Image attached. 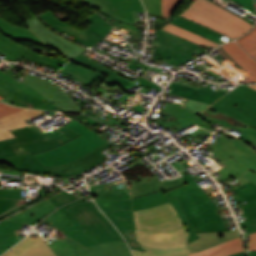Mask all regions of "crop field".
Listing matches in <instances>:
<instances>
[{"instance_id":"obj_47","label":"crop field","mask_w":256,"mask_h":256,"mask_svg":"<svg viewBox=\"0 0 256 256\" xmlns=\"http://www.w3.org/2000/svg\"><path fill=\"white\" fill-rule=\"evenodd\" d=\"M57 256H65L74 252L72 246L59 238H49L45 241Z\"/></svg>"},{"instance_id":"obj_24","label":"crop field","mask_w":256,"mask_h":256,"mask_svg":"<svg viewBox=\"0 0 256 256\" xmlns=\"http://www.w3.org/2000/svg\"><path fill=\"white\" fill-rule=\"evenodd\" d=\"M91 194L101 199H129L130 191L125 179L90 187Z\"/></svg>"},{"instance_id":"obj_69","label":"crop field","mask_w":256,"mask_h":256,"mask_svg":"<svg viewBox=\"0 0 256 256\" xmlns=\"http://www.w3.org/2000/svg\"><path fill=\"white\" fill-rule=\"evenodd\" d=\"M250 87L256 89V85H249Z\"/></svg>"},{"instance_id":"obj_41","label":"crop field","mask_w":256,"mask_h":256,"mask_svg":"<svg viewBox=\"0 0 256 256\" xmlns=\"http://www.w3.org/2000/svg\"><path fill=\"white\" fill-rule=\"evenodd\" d=\"M91 24L86 29L104 37L112 29V26L104 21L96 12L85 19Z\"/></svg>"},{"instance_id":"obj_23","label":"crop field","mask_w":256,"mask_h":256,"mask_svg":"<svg viewBox=\"0 0 256 256\" xmlns=\"http://www.w3.org/2000/svg\"><path fill=\"white\" fill-rule=\"evenodd\" d=\"M210 85L211 84H209L206 88L200 87V89L197 90L193 87L171 82L170 87L172 89L169 93L211 104L226 92L213 91L209 89Z\"/></svg>"},{"instance_id":"obj_51","label":"crop field","mask_w":256,"mask_h":256,"mask_svg":"<svg viewBox=\"0 0 256 256\" xmlns=\"http://www.w3.org/2000/svg\"><path fill=\"white\" fill-rule=\"evenodd\" d=\"M55 207H59L69 201L76 199L72 194L67 193L66 191L61 192L51 198H49Z\"/></svg>"},{"instance_id":"obj_49","label":"crop field","mask_w":256,"mask_h":256,"mask_svg":"<svg viewBox=\"0 0 256 256\" xmlns=\"http://www.w3.org/2000/svg\"><path fill=\"white\" fill-rule=\"evenodd\" d=\"M24 225V224H23ZM22 224L4 221L0 223V243L16 234Z\"/></svg>"},{"instance_id":"obj_10","label":"crop field","mask_w":256,"mask_h":256,"mask_svg":"<svg viewBox=\"0 0 256 256\" xmlns=\"http://www.w3.org/2000/svg\"><path fill=\"white\" fill-rule=\"evenodd\" d=\"M161 47H155V59H170L169 64L179 65L191 59L192 51L200 46L163 30L156 32ZM151 49V48H149Z\"/></svg>"},{"instance_id":"obj_62","label":"crop field","mask_w":256,"mask_h":256,"mask_svg":"<svg viewBox=\"0 0 256 256\" xmlns=\"http://www.w3.org/2000/svg\"><path fill=\"white\" fill-rule=\"evenodd\" d=\"M197 125H199L202 128H207L209 130H212V128L204 120L199 122V123H197Z\"/></svg>"},{"instance_id":"obj_71","label":"crop field","mask_w":256,"mask_h":256,"mask_svg":"<svg viewBox=\"0 0 256 256\" xmlns=\"http://www.w3.org/2000/svg\"><path fill=\"white\" fill-rule=\"evenodd\" d=\"M255 2H256V0H255Z\"/></svg>"},{"instance_id":"obj_38","label":"crop field","mask_w":256,"mask_h":256,"mask_svg":"<svg viewBox=\"0 0 256 256\" xmlns=\"http://www.w3.org/2000/svg\"><path fill=\"white\" fill-rule=\"evenodd\" d=\"M0 31H2L4 34H6L10 38L32 40L37 43L47 45L44 42H42L31 30L11 25L5 20H3L1 17H0Z\"/></svg>"},{"instance_id":"obj_11","label":"crop field","mask_w":256,"mask_h":256,"mask_svg":"<svg viewBox=\"0 0 256 256\" xmlns=\"http://www.w3.org/2000/svg\"><path fill=\"white\" fill-rule=\"evenodd\" d=\"M42 112L0 103V140L15 137L8 130L34 124L30 119Z\"/></svg>"},{"instance_id":"obj_42","label":"crop field","mask_w":256,"mask_h":256,"mask_svg":"<svg viewBox=\"0 0 256 256\" xmlns=\"http://www.w3.org/2000/svg\"><path fill=\"white\" fill-rule=\"evenodd\" d=\"M226 165L223 167L224 169L219 171L224 177L221 178V181L229 178V177H239L245 171L248 170L245 166L240 164L239 162L233 160L232 158L228 159L227 161L219 164L220 166Z\"/></svg>"},{"instance_id":"obj_29","label":"crop field","mask_w":256,"mask_h":256,"mask_svg":"<svg viewBox=\"0 0 256 256\" xmlns=\"http://www.w3.org/2000/svg\"><path fill=\"white\" fill-rule=\"evenodd\" d=\"M82 201L83 200L80 199V200L71 202V203L59 208L58 210L63 212L65 214V216H67L73 224L72 226L66 228L63 232H65L67 235H69L70 237L77 240L79 243H81L85 247H88V246L96 245V244H98V242H96L94 239L90 238L88 235H86L83 232V231H85V229L67 210V208L74 206Z\"/></svg>"},{"instance_id":"obj_3","label":"crop field","mask_w":256,"mask_h":256,"mask_svg":"<svg viewBox=\"0 0 256 256\" xmlns=\"http://www.w3.org/2000/svg\"><path fill=\"white\" fill-rule=\"evenodd\" d=\"M180 15L233 39L239 38L253 28L242 18L208 0H196Z\"/></svg>"},{"instance_id":"obj_13","label":"crop field","mask_w":256,"mask_h":256,"mask_svg":"<svg viewBox=\"0 0 256 256\" xmlns=\"http://www.w3.org/2000/svg\"><path fill=\"white\" fill-rule=\"evenodd\" d=\"M95 9L110 17L134 25L132 11L145 12L140 0H86Z\"/></svg>"},{"instance_id":"obj_34","label":"crop field","mask_w":256,"mask_h":256,"mask_svg":"<svg viewBox=\"0 0 256 256\" xmlns=\"http://www.w3.org/2000/svg\"><path fill=\"white\" fill-rule=\"evenodd\" d=\"M128 167L120 173L127 179L130 186L156 179L140 160L128 165Z\"/></svg>"},{"instance_id":"obj_26","label":"crop field","mask_w":256,"mask_h":256,"mask_svg":"<svg viewBox=\"0 0 256 256\" xmlns=\"http://www.w3.org/2000/svg\"><path fill=\"white\" fill-rule=\"evenodd\" d=\"M56 208L46 199L8 219V221L25 223L28 225H34L45 216L50 214Z\"/></svg>"},{"instance_id":"obj_45","label":"crop field","mask_w":256,"mask_h":256,"mask_svg":"<svg viewBox=\"0 0 256 256\" xmlns=\"http://www.w3.org/2000/svg\"><path fill=\"white\" fill-rule=\"evenodd\" d=\"M42 222L49 224L51 227L58 229L59 231H63L67 226L71 225L68 218L58 210L43 219Z\"/></svg>"},{"instance_id":"obj_16","label":"crop field","mask_w":256,"mask_h":256,"mask_svg":"<svg viewBox=\"0 0 256 256\" xmlns=\"http://www.w3.org/2000/svg\"><path fill=\"white\" fill-rule=\"evenodd\" d=\"M57 236L69 242L78 256H132L125 241L102 243L85 248L63 232L57 231Z\"/></svg>"},{"instance_id":"obj_1","label":"crop field","mask_w":256,"mask_h":256,"mask_svg":"<svg viewBox=\"0 0 256 256\" xmlns=\"http://www.w3.org/2000/svg\"><path fill=\"white\" fill-rule=\"evenodd\" d=\"M182 178L187 184L166 194L169 199L177 197L184 208L189 223L186 226L190 234L188 243L199 238L195 232L227 231L221 214L217 215V207L192 176L187 174Z\"/></svg>"},{"instance_id":"obj_64","label":"crop field","mask_w":256,"mask_h":256,"mask_svg":"<svg viewBox=\"0 0 256 256\" xmlns=\"http://www.w3.org/2000/svg\"><path fill=\"white\" fill-rule=\"evenodd\" d=\"M226 59L231 58L221 47L217 49Z\"/></svg>"},{"instance_id":"obj_46","label":"crop field","mask_w":256,"mask_h":256,"mask_svg":"<svg viewBox=\"0 0 256 256\" xmlns=\"http://www.w3.org/2000/svg\"><path fill=\"white\" fill-rule=\"evenodd\" d=\"M256 7V3H255ZM241 47L256 59V26L253 30L242 38L236 40Z\"/></svg>"},{"instance_id":"obj_63","label":"crop field","mask_w":256,"mask_h":256,"mask_svg":"<svg viewBox=\"0 0 256 256\" xmlns=\"http://www.w3.org/2000/svg\"><path fill=\"white\" fill-rule=\"evenodd\" d=\"M217 190H218V189H217ZM204 191L209 195L210 198L213 197L212 194L210 193V192H214L212 186H210V187L204 189ZM215 191H216V190H215Z\"/></svg>"},{"instance_id":"obj_36","label":"crop field","mask_w":256,"mask_h":256,"mask_svg":"<svg viewBox=\"0 0 256 256\" xmlns=\"http://www.w3.org/2000/svg\"><path fill=\"white\" fill-rule=\"evenodd\" d=\"M63 72L71 75L79 82L90 85L92 82L96 81L103 74L100 72L93 71L91 69L85 68L83 66L75 65L72 61L68 62L64 67Z\"/></svg>"},{"instance_id":"obj_17","label":"crop field","mask_w":256,"mask_h":256,"mask_svg":"<svg viewBox=\"0 0 256 256\" xmlns=\"http://www.w3.org/2000/svg\"><path fill=\"white\" fill-rule=\"evenodd\" d=\"M39 194L40 197L37 199H26V197H21L20 188L0 189V218L27 206L28 202H35L48 196L42 188Z\"/></svg>"},{"instance_id":"obj_39","label":"crop field","mask_w":256,"mask_h":256,"mask_svg":"<svg viewBox=\"0 0 256 256\" xmlns=\"http://www.w3.org/2000/svg\"><path fill=\"white\" fill-rule=\"evenodd\" d=\"M163 28L168 30V31H171V32H173V33H175V34H177L179 36H182V37H184V38H186V39H188V40H190L192 42H195V43H197L199 45H203L205 47L208 46V45H210L212 47L219 46L218 44H216V43H214V42H212V41H210L208 39H205V38H203V37H201V36H199V35H197L195 33H192L190 31L184 30V29L179 28V27H177V26H175L173 24H170V23H168Z\"/></svg>"},{"instance_id":"obj_21","label":"crop field","mask_w":256,"mask_h":256,"mask_svg":"<svg viewBox=\"0 0 256 256\" xmlns=\"http://www.w3.org/2000/svg\"><path fill=\"white\" fill-rule=\"evenodd\" d=\"M207 106H209V104L190 99H186L183 106L175 104L171 105L167 103L162 110L172 114L173 116L165 118L164 120L167 122L176 116L179 118L177 119V121L180 123L179 125L182 126L189 121L200 117L196 114Z\"/></svg>"},{"instance_id":"obj_6","label":"crop field","mask_w":256,"mask_h":256,"mask_svg":"<svg viewBox=\"0 0 256 256\" xmlns=\"http://www.w3.org/2000/svg\"><path fill=\"white\" fill-rule=\"evenodd\" d=\"M136 231V240L139 241L145 252L133 250L135 256H189L185 226L171 232L153 233Z\"/></svg>"},{"instance_id":"obj_7","label":"crop field","mask_w":256,"mask_h":256,"mask_svg":"<svg viewBox=\"0 0 256 256\" xmlns=\"http://www.w3.org/2000/svg\"><path fill=\"white\" fill-rule=\"evenodd\" d=\"M208 108L225 113L256 128V90L239 85Z\"/></svg>"},{"instance_id":"obj_40","label":"crop field","mask_w":256,"mask_h":256,"mask_svg":"<svg viewBox=\"0 0 256 256\" xmlns=\"http://www.w3.org/2000/svg\"><path fill=\"white\" fill-rule=\"evenodd\" d=\"M0 76L5 78L8 82H10L11 84L17 86L18 88L22 89L23 91L35 96V97H38L40 99H46L45 97H43L41 94H39L37 91H35L34 89L28 87L27 85H25L24 83H20L14 79H12L11 77H9L8 75H6L5 73H3L1 70H0ZM47 100V99H46ZM35 108H38V109H49V110H60L58 109L53 103L51 102H47V103H44L42 105H39Z\"/></svg>"},{"instance_id":"obj_44","label":"crop field","mask_w":256,"mask_h":256,"mask_svg":"<svg viewBox=\"0 0 256 256\" xmlns=\"http://www.w3.org/2000/svg\"><path fill=\"white\" fill-rule=\"evenodd\" d=\"M248 221L241 222V228L245 227L248 233L256 231V202L241 207Z\"/></svg>"},{"instance_id":"obj_57","label":"crop field","mask_w":256,"mask_h":256,"mask_svg":"<svg viewBox=\"0 0 256 256\" xmlns=\"http://www.w3.org/2000/svg\"><path fill=\"white\" fill-rule=\"evenodd\" d=\"M249 250H256V232L249 234V244H248Z\"/></svg>"},{"instance_id":"obj_25","label":"crop field","mask_w":256,"mask_h":256,"mask_svg":"<svg viewBox=\"0 0 256 256\" xmlns=\"http://www.w3.org/2000/svg\"><path fill=\"white\" fill-rule=\"evenodd\" d=\"M0 95L10 100L16 105L35 107L39 104L47 102L38 98L32 97L17 87L9 84L5 79L0 77Z\"/></svg>"},{"instance_id":"obj_48","label":"crop field","mask_w":256,"mask_h":256,"mask_svg":"<svg viewBox=\"0 0 256 256\" xmlns=\"http://www.w3.org/2000/svg\"><path fill=\"white\" fill-rule=\"evenodd\" d=\"M233 190L237 198L244 197L247 204L256 201V184L253 182H249Z\"/></svg>"},{"instance_id":"obj_50","label":"crop field","mask_w":256,"mask_h":256,"mask_svg":"<svg viewBox=\"0 0 256 256\" xmlns=\"http://www.w3.org/2000/svg\"><path fill=\"white\" fill-rule=\"evenodd\" d=\"M147 13L162 16L161 0H143Z\"/></svg>"},{"instance_id":"obj_9","label":"crop field","mask_w":256,"mask_h":256,"mask_svg":"<svg viewBox=\"0 0 256 256\" xmlns=\"http://www.w3.org/2000/svg\"><path fill=\"white\" fill-rule=\"evenodd\" d=\"M136 229L153 232L171 231L183 226L171 202L159 207L134 211Z\"/></svg>"},{"instance_id":"obj_66","label":"crop field","mask_w":256,"mask_h":256,"mask_svg":"<svg viewBox=\"0 0 256 256\" xmlns=\"http://www.w3.org/2000/svg\"><path fill=\"white\" fill-rule=\"evenodd\" d=\"M249 256H256V252H249Z\"/></svg>"},{"instance_id":"obj_31","label":"crop field","mask_w":256,"mask_h":256,"mask_svg":"<svg viewBox=\"0 0 256 256\" xmlns=\"http://www.w3.org/2000/svg\"><path fill=\"white\" fill-rule=\"evenodd\" d=\"M183 184H185V182L181 177L168 180V181H163V182H160L158 179H156L139 186L131 187V192L134 198V197L154 193L161 189H163L164 192H166L170 189H173Z\"/></svg>"},{"instance_id":"obj_32","label":"crop field","mask_w":256,"mask_h":256,"mask_svg":"<svg viewBox=\"0 0 256 256\" xmlns=\"http://www.w3.org/2000/svg\"><path fill=\"white\" fill-rule=\"evenodd\" d=\"M228 54L238 62L245 70L251 72L253 75L249 76L248 78L256 82V61L250 58L242 48L237 45L234 41H231L227 44L222 46Z\"/></svg>"},{"instance_id":"obj_68","label":"crop field","mask_w":256,"mask_h":256,"mask_svg":"<svg viewBox=\"0 0 256 256\" xmlns=\"http://www.w3.org/2000/svg\"><path fill=\"white\" fill-rule=\"evenodd\" d=\"M241 82H250V81L246 78V79H244V80L241 81Z\"/></svg>"},{"instance_id":"obj_33","label":"crop field","mask_w":256,"mask_h":256,"mask_svg":"<svg viewBox=\"0 0 256 256\" xmlns=\"http://www.w3.org/2000/svg\"><path fill=\"white\" fill-rule=\"evenodd\" d=\"M239 251H244V242L241 237L207 248L199 253H191L189 255L190 256H227Z\"/></svg>"},{"instance_id":"obj_15","label":"crop field","mask_w":256,"mask_h":256,"mask_svg":"<svg viewBox=\"0 0 256 256\" xmlns=\"http://www.w3.org/2000/svg\"><path fill=\"white\" fill-rule=\"evenodd\" d=\"M0 52L6 53L4 60L16 61L21 56L39 63H43L47 66L60 69L62 65L67 62L61 59L44 56L37 54L28 48H25L10 40L6 35L0 32Z\"/></svg>"},{"instance_id":"obj_53","label":"crop field","mask_w":256,"mask_h":256,"mask_svg":"<svg viewBox=\"0 0 256 256\" xmlns=\"http://www.w3.org/2000/svg\"><path fill=\"white\" fill-rule=\"evenodd\" d=\"M23 226L21 227V229L23 228ZM20 230H19V232H20ZM18 233L0 244V255L3 252H5L7 249H9L12 245H14L16 242H18L24 238V236L18 235Z\"/></svg>"},{"instance_id":"obj_37","label":"crop field","mask_w":256,"mask_h":256,"mask_svg":"<svg viewBox=\"0 0 256 256\" xmlns=\"http://www.w3.org/2000/svg\"><path fill=\"white\" fill-rule=\"evenodd\" d=\"M171 23L176 24L182 28H185L187 30L193 31L203 37L209 38L217 43H224L219 38L223 36L222 34H219L211 29L205 28L195 22H191L185 18H182L180 16L174 18ZM231 40V38L229 39Z\"/></svg>"},{"instance_id":"obj_60","label":"crop field","mask_w":256,"mask_h":256,"mask_svg":"<svg viewBox=\"0 0 256 256\" xmlns=\"http://www.w3.org/2000/svg\"><path fill=\"white\" fill-rule=\"evenodd\" d=\"M201 133H204L208 136H211L212 133L206 131V130H203V129H197L195 132L191 133V134H188V136H190L191 138L201 134Z\"/></svg>"},{"instance_id":"obj_18","label":"crop field","mask_w":256,"mask_h":256,"mask_svg":"<svg viewBox=\"0 0 256 256\" xmlns=\"http://www.w3.org/2000/svg\"><path fill=\"white\" fill-rule=\"evenodd\" d=\"M104 214L117 227L130 248L143 251L140 244L135 241L132 210L104 212Z\"/></svg>"},{"instance_id":"obj_4","label":"crop field","mask_w":256,"mask_h":256,"mask_svg":"<svg viewBox=\"0 0 256 256\" xmlns=\"http://www.w3.org/2000/svg\"><path fill=\"white\" fill-rule=\"evenodd\" d=\"M65 127L82 136L47 152L36 154L35 157L46 167L67 164L108 142L99 137L97 133L79 123L75 119Z\"/></svg>"},{"instance_id":"obj_19","label":"crop field","mask_w":256,"mask_h":256,"mask_svg":"<svg viewBox=\"0 0 256 256\" xmlns=\"http://www.w3.org/2000/svg\"><path fill=\"white\" fill-rule=\"evenodd\" d=\"M209 112H210V109L206 108L203 111H201L198 115H200L207 123L213 121V122L219 123L221 126L236 129L243 133L240 137L256 144L255 128H252L242 122L234 120L222 113L214 112V114H211Z\"/></svg>"},{"instance_id":"obj_22","label":"crop field","mask_w":256,"mask_h":256,"mask_svg":"<svg viewBox=\"0 0 256 256\" xmlns=\"http://www.w3.org/2000/svg\"><path fill=\"white\" fill-rule=\"evenodd\" d=\"M3 256H56L39 236L32 240L26 238L16 244Z\"/></svg>"},{"instance_id":"obj_67","label":"crop field","mask_w":256,"mask_h":256,"mask_svg":"<svg viewBox=\"0 0 256 256\" xmlns=\"http://www.w3.org/2000/svg\"><path fill=\"white\" fill-rule=\"evenodd\" d=\"M67 256H77L76 252L70 254V255H67Z\"/></svg>"},{"instance_id":"obj_43","label":"crop field","mask_w":256,"mask_h":256,"mask_svg":"<svg viewBox=\"0 0 256 256\" xmlns=\"http://www.w3.org/2000/svg\"><path fill=\"white\" fill-rule=\"evenodd\" d=\"M95 199V198H94ZM102 211L132 209L131 199L129 200H100L95 199Z\"/></svg>"},{"instance_id":"obj_20","label":"crop field","mask_w":256,"mask_h":256,"mask_svg":"<svg viewBox=\"0 0 256 256\" xmlns=\"http://www.w3.org/2000/svg\"><path fill=\"white\" fill-rule=\"evenodd\" d=\"M41 17L51 26H53L55 29H57L60 32H65L67 34L75 36V40L87 45L92 46L93 44L97 43L102 37L89 32L88 30L80 31L70 25H68L65 22L60 21L51 11H46L42 14H40Z\"/></svg>"},{"instance_id":"obj_27","label":"crop field","mask_w":256,"mask_h":256,"mask_svg":"<svg viewBox=\"0 0 256 256\" xmlns=\"http://www.w3.org/2000/svg\"><path fill=\"white\" fill-rule=\"evenodd\" d=\"M169 201H171L172 204L174 205L177 213L183 220L184 224L185 225L188 224L185 214H184V211H183L179 201L177 200V198L168 200V197L163 192V190H161L157 193H154V194H150V195H146L143 197L133 199V209L139 210V209H143V208L159 206V205L167 203Z\"/></svg>"},{"instance_id":"obj_56","label":"crop field","mask_w":256,"mask_h":256,"mask_svg":"<svg viewBox=\"0 0 256 256\" xmlns=\"http://www.w3.org/2000/svg\"><path fill=\"white\" fill-rule=\"evenodd\" d=\"M140 85L150 87V88H154V89H157V90L161 91V88L158 85H156L153 82H150V81L146 80L143 77H140Z\"/></svg>"},{"instance_id":"obj_54","label":"crop field","mask_w":256,"mask_h":256,"mask_svg":"<svg viewBox=\"0 0 256 256\" xmlns=\"http://www.w3.org/2000/svg\"><path fill=\"white\" fill-rule=\"evenodd\" d=\"M70 119L71 118H75V119H77L79 122H81V123H83L84 125H86V126H88L89 128H94V127H96V126H98V125H101L100 123H98V122H96V121H94V120H92V119H90V118H88V117H86V116H84V115H82V114H80V115H78V116H68ZM93 130V129H92Z\"/></svg>"},{"instance_id":"obj_58","label":"crop field","mask_w":256,"mask_h":256,"mask_svg":"<svg viewBox=\"0 0 256 256\" xmlns=\"http://www.w3.org/2000/svg\"><path fill=\"white\" fill-rule=\"evenodd\" d=\"M137 65L146 67L144 70L141 71V73H143V74H145V72H146L149 68H151V69H153V70H155V71H157V72H158V71H161V69H159V68H154V67H152V66H147V65H144V64H137V63H131L130 65H128V67L134 69ZM161 74H163V73H161ZM164 75H167V74H164Z\"/></svg>"},{"instance_id":"obj_8","label":"crop field","mask_w":256,"mask_h":256,"mask_svg":"<svg viewBox=\"0 0 256 256\" xmlns=\"http://www.w3.org/2000/svg\"><path fill=\"white\" fill-rule=\"evenodd\" d=\"M69 211L87 230L85 233L99 243L124 240L93 201L82 202Z\"/></svg>"},{"instance_id":"obj_5","label":"crop field","mask_w":256,"mask_h":256,"mask_svg":"<svg viewBox=\"0 0 256 256\" xmlns=\"http://www.w3.org/2000/svg\"><path fill=\"white\" fill-rule=\"evenodd\" d=\"M109 143H105L101 147L97 148L95 151L81 157L80 159L61 167H50L45 168L34 156L32 153L12 156L4 159H0V162L7 163L12 168L21 172H30L34 174L41 175H57L62 177H70L76 174H79L90 167L94 166L98 162L106 158L105 155L100 152L107 147Z\"/></svg>"},{"instance_id":"obj_30","label":"crop field","mask_w":256,"mask_h":256,"mask_svg":"<svg viewBox=\"0 0 256 256\" xmlns=\"http://www.w3.org/2000/svg\"><path fill=\"white\" fill-rule=\"evenodd\" d=\"M221 133H223L224 136H226V137L232 138V142L236 145L235 147H237L240 150H242L243 152L255 157L250 160V159L242 156L243 155L242 154L234 159L238 160L240 163H242L243 165H245L246 167H248L250 169L246 174H244L242 176H244L256 183V151H255V149L252 148L249 143L242 141L241 139H239L233 135H230L225 132H221Z\"/></svg>"},{"instance_id":"obj_59","label":"crop field","mask_w":256,"mask_h":256,"mask_svg":"<svg viewBox=\"0 0 256 256\" xmlns=\"http://www.w3.org/2000/svg\"><path fill=\"white\" fill-rule=\"evenodd\" d=\"M83 113H85V114H87V115H89V116H91V117L96 118L97 120L103 122L104 124H106V125L109 126V127L112 125V124H110L109 122L103 120L101 117H99L98 115H96V114H94V113H92V112H89V111L86 110V111H84Z\"/></svg>"},{"instance_id":"obj_28","label":"crop field","mask_w":256,"mask_h":256,"mask_svg":"<svg viewBox=\"0 0 256 256\" xmlns=\"http://www.w3.org/2000/svg\"><path fill=\"white\" fill-rule=\"evenodd\" d=\"M239 231L233 230L228 232H214V233H197L199 239L187 244L191 252H199L207 247L225 242L235 237H239Z\"/></svg>"},{"instance_id":"obj_61","label":"crop field","mask_w":256,"mask_h":256,"mask_svg":"<svg viewBox=\"0 0 256 256\" xmlns=\"http://www.w3.org/2000/svg\"><path fill=\"white\" fill-rule=\"evenodd\" d=\"M200 120H202V119H201V118H198V119H196V120H194V121H192V122H190V123H188V124H186V125H184V126H182V127H180L179 125H177V126L173 127V129L177 132V131H179V130H181V129L187 127V126H190V125H192V124H195L196 122H198V121H200Z\"/></svg>"},{"instance_id":"obj_2","label":"crop field","mask_w":256,"mask_h":256,"mask_svg":"<svg viewBox=\"0 0 256 256\" xmlns=\"http://www.w3.org/2000/svg\"><path fill=\"white\" fill-rule=\"evenodd\" d=\"M11 133L18 139L0 141V158L29 152L41 153L80 136L63 126L44 131L36 124L13 130Z\"/></svg>"},{"instance_id":"obj_52","label":"crop field","mask_w":256,"mask_h":256,"mask_svg":"<svg viewBox=\"0 0 256 256\" xmlns=\"http://www.w3.org/2000/svg\"><path fill=\"white\" fill-rule=\"evenodd\" d=\"M182 0H162L163 16L170 17L175 8ZM193 2L195 0H192Z\"/></svg>"},{"instance_id":"obj_65","label":"crop field","mask_w":256,"mask_h":256,"mask_svg":"<svg viewBox=\"0 0 256 256\" xmlns=\"http://www.w3.org/2000/svg\"><path fill=\"white\" fill-rule=\"evenodd\" d=\"M230 256H245V252L236 253Z\"/></svg>"},{"instance_id":"obj_12","label":"crop field","mask_w":256,"mask_h":256,"mask_svg":"<svg viewBox=\"0 0 256 256\" xmlns=\"http://www.w3.org/2000/svg\"><path fill=\"white\" fill-rule=\"evenodd\" d=\"M22 82L36 89L48 100L52 101L62 111H83V109L76 105V103L70 98V96L66 95L67 93L65 94L62 89L56 87L53 83L41 77L28 74Z\"/></svg>"},{"instance_id":"obj_55","label":"crop field","mask_w":256,"mask_h":256,"mask_svg":"<svg viewBox=\"0 0 256 256\" xmlns=\"http://www.w3.org/2000/svg\"><path fill=\"white\" fill-rule=\"evenodd\" d=\"M232 1L238 4L239 6L243 7L244 9L250 11L252 14L256 15L253 7V0H232Z\"/></svg>"},{"instance_id":"obj_70","label":"crop field","mask_w":256,"mask_h":256,"mask_svg":"<svg viewBox=\"0 0 256 256\" xmlns=\"http://www.w3.org/2000/svg\"><path fill=\"white\" fill-rule=\"evenodd\" d=\"M4 98L0 97V100H3Z\"/></svg>"},{"instance_id":"obj_14","label":"crop field","mask_w":256,"mask_h":256,"mask_svg":"<svg viewBox=\"0 0 256 256\" xmlns=\"http://www.w3.org/2000/svg\"><path fill=\"white\" fill-rule=\"evenodd\" d=\"M29 27L46 43L60 51L69 59L77 56L85 48L67 40L48 29L37 17L27 20Z\"/></svg>"},{"instance_id":"obj_35","label":"crop field","mask_w":256,"mask_h":256,"mask_svg":"<svg viewBox=\"0 0 256 256\" xmlns=\"http://www.w3.org/2000/svg\"><path fill=\"white\" fill-rule=\"evenodd\" d=\"M72 61L75 62L76 64L83 65L85 67H88L93 70L100 71L104 74H107L108 77L106 79V83L109 85L120 84L121 87L124 88V87L132 84L131 82L127 81L126 79H124L120 76H117L116 72L87 59L86 57H84L81 54L78 55L77 57H75L74 59H72Z\"/></svg>"}]
</instances>
